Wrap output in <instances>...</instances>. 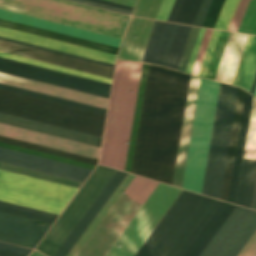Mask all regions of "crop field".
Listing matches in <instances>:
<instances>
[{
    "instance_id": "obj_55",
    "label": "crop field",
    "mask_w": 256,
    "mask_h": 256,
    "mask_svg": "<svg viewBox=\"0 0 256 256\" xmlns=\"http://www.w3.org/2000/svg\"><path fill=\"white\" fill-rule=\"evenodd\" d=\"M204 30L205 29H203V28L200 29V32H199V35H198V38H197V41H196V44H195V47H194V50H193L190 62H189V65H188V68H187V71H186L188 73L191 72V69H192V66H193V63H194V60H195V57H196V54H197V51H198V48H199L202 36H203V33H204Z\"/></svg>"
},
{
    "instance_id": "obj_64",
    "label": "crop field",
    "mask_w": 256,
    "mask_h": 256,
    "mask_svg": "<svg viewBox=\"0 0 256 256\" xmlns=\"http://www.w3.org/2000/svg\"><path fill=\"white\" fill-rule=\"evenodd\" d=\"M255 87H256V76H255V79H254V82H253V85H252V88H251V91H250L251 93H254Z\"/></svg>"
},
{
    "instance_id": "obj_15",
    "label": "crop field",
    "mask_w": 256,
    "mask_h": 256,
    "mask_svg": "<svg viewBox=\"0 0 256 256\" xmlns=\"http://www.w3.org/2000/svg\"><path fill=\"white\" fill-rule=\"evenodd\" d=\"M0 161L84 182L90 169L0 147Z\"/></svg>"
},
{
    "instance_id": "obj_62",
    "label": "crop field",
    "mask_w": 256,
    "mask_h": 256,
    "mask_svg": "<svg viewBox=\"0 0 256 256\" xmlns=\"http://www.w3.org/2000/svg\"><path fill=\"white\" fill-rule=\"evenodd\" d=\"M0 250H4V251H8V252H12V253H16V254H20V255H24L25 254H21V253H17V252H13V251H9V250H5V249H1ZM4 251H0V256H20V255H16V254H12V253H8V252H4Z\"/></svg>"
},
{
    "instance_id": "obj_12",
    "label": "crop field",
    "mask_w": 256,
    "mask_h": 256,
    "mask_svg": "<svg viewBox=\"0 0 256 256\" xmlns=\"http://www.w3.org/2000/svg\"><path fill=\"white\" fill-rule=\"evenodd\" d=\"M256 230V212L236 206L199 256H237Z\"/></svg>"
},
{
    "instance_id": "obj_42",
    "label": "crop field",
    "mask_w": 256,
    "mask_h": 256,
    "mask_svg": "<svg viewBox=\"0 0 256 256\" xmlns=\"http://www.w3.org/2000/svg\"><path fill=\"white\" fill-rule=\"evenodd\" d=\"M239 0H225L213 28L227 30L237 8Z\"/></svg>"
},
{
    "instance_id": "obj_30",
    "label": "crop field",
    "mask_w": 256,
    "mask_h": 256,
    "mask_svg": "<svg viewBox=\"0 0 256 256\" xmlns=\"http://www.w3.org/2000/svg\"><path fill=\"white\" fill-rule=\"evenodd\" d=\"M235 205H232L227 202H223L199 236L196 238L194 243L188 249L184 256H198L231 211L234 209Z\"/></svg>"
},
{
    "instance_id": "obj_40",
    "label": "crop field",
    "mask_w": 256,
    "mask_h": 256,
    "mask_svg": "<svg viewBox=\"0 0 256 256\" xmlns=\"http://www.w3.org/2000/svg\"><path fill=\"white\" fill-rule=\"evenodd\" d=\"M163 0H138L132 15L155 19Z\"/></svg>"
},
{
    "instance_id": "obj_22",
    "label": "crop field",
    "mask_w": 256,
    "mask_h": 256,
    "mask_svg": "<svg viewBox=\"0 0 256 256\" xmlns=\"http://www.w3.org/2000/svg\"><path fill=\"white\" fill-rule=\"evenodd\" d=\"M200 78L191 76L184 112L173 183L181 187Z\"/></svg>"
},
{
    "instance_id": "obj_13",
    "label": "crop field",
    "mask_w": 256,
    "mask_h": 256,
    "mask_svg": "<svg viewBox=\"0 0 256 256\" xmlns=\"http://www.w3.org/2000/svg\"><path fill=\"white\" fill-rule=\"evenodd\" d=\"M190 27L155 21L141 61L176 69Z\"/></svg>"
},
{
    "instance_id": "obj_47",
    "label": "crop field",
    "mask_w": 256,
    "mask_h": 256,
    "mask_svg": "<svg viewBox=\"0 0 256 256\" xmlns=\"http://www.w3.org/2000/svg\"><path fill=\"white\" fill-rule=\"evenodd\" d=\"M219 32L220 31H216V30L212 31V34H211V37H210V40H209V43H208V46L206 49V53H205V56H204V59H203V62H202V65H201V68H200V71L198 74L200 76H203V77L205 76L211 55L213 53V50H214V47H215V44H216V41H217V38L219 35Z\"/></svg>"
},
{
    "instance_id": "obj_44",
    "label": "crop field",
    "mask_w": 256,
    "mask_h": 256,
    "mask_svg": "<svg viewBox=\"0 0 256 256\" xmlns=\"http://www.w3.org/2000/svg\"><path fill=\"white\" fill-rule=\"evenodd\" d=\"M229 32L221 31L205 77L214 78Z\"/></svg>"
},
{
    "instance_id": "obj_19",
    "label": "crop field",
    "mask_w": 256,
    "mask_h": 256,
    "mask_svg": "<svg viewBox=\"0 0 256 256\" xmlns=\"http://www.w3.org/2000/svg\"><path fill=\"white\" fill-rule=\"evenodd\" d=\"M0 135L92 157L98 159L100 148L2 124L0 123Z\"/></svg>"
},
{
    "instance_id": "obj_23",
    "label": "crop field",
    "mask_w": 256,
    "mask_h": 256,
    "mask_svg": "<svg viewBox=\"0 0 256 256\" xmlns=\"http://www.w3.org/2000/svg\"><path fill=\"white\" fill-rule=\"evenodd\" d=\"M125 176L126 173L117 170V172L105 186L102 192L90 206V208L81 218L69 236L57 250V252L54 254V256L67 255V253L70 251V249L73 247V245L76 243V241L79 239V237L82 235V233L85 231V229L88 227L93 218L96 216V214L99 212V210L102 208V206L105 204V202L108 200V198L111 196V194L114 192V190Z\"/></svg>"
},
{
    "instance_id": "obj_10",
    "label": "crop field",
    "mask_w": 256,
    "mask_h": 256,
    "mask_svg": "<svg viewBox=\"0 0 256 256\" xmlns=\"http://www.w3.org/2000/svg\"><path fill=\"white\" fill-rule=\"evenodd\" d=\"M180 192L159 183L105 256H133Z\"/></svg>"
},
{
    "instance_id": "obj_9",
    "label": "crop field",
    "mask_w": 256,
    "mask_h": 256,
    "mask_svg": "<svg viewBox=\"0 0 256 256\" xmlns=\"http://www.w3.org/2000/svg\"><path fill=\"white\" fill-rule=\"evenodd\" d=\"M238 88L220 85L209 156L207 161L203 194L220 197L228 143L230 138Z\"/></svg>"
},
{
    "instance_id": "obj_8",
    "label": "crop field",
    "mask_w": 256,
    "mask_h": 256,
    "mask_svg": "<svg viewBox=\"0 0 256 256\" xmlns=\"http://www.w3.org/2000/svg\"><path fill=\"white\" fill-rule=\"evenodd\" d=\"M76 188L0 170V200L59 214Z\"/></svg>"
},
{
    "instance_id": "obj_29",
    "label": "crop field",
    "mask_w": 256,
    "mask_h": 256,
    "mask_svg": "<svg viewBox=\"0 0 256 256\" xmlns=\"http://www.w3.org/2000/svg\"><path fill=\"white\" fill-rule=\"evenodd\" d=\"M0 26L16 29V30H20V31H25V32H29V33H33V34H37V35L65 41V42H70V43H74V44H78V45H82V46H86V47H90V48H94V49H98V50H102V51H106V52H110V53H115V54L117 53V51L119 49L117 47H112V46H108V45H104V44H100V43H96V42H92V41L56 33V32H52V31H48V30H44V29H40V28L28 26V25L16 23V22L4 20V19H0Z\"/></svg>"
},
{
    "instance_id": "obj_3",
    "label": "crop field",
    "mask_w": 256,
    "mask_h": 256,
    "mask_svg": "<svg viewBox=\"0 0 256 256\" xmlns=\"http://www.w3.org/2000/svg\"><path fill=\"white\" fill-rule=\"evenodd\" d=\"M141 65L123 61L116 63L99 160L101 164L124 168Z\"/></svg>"
},
{
    "instance_id": "obj_57",
    "label": "crop field",
    "mask_w": 256,
    "mask_h": 256,
    "mask_svg": "<svg viewBox=\"0 0 256 256\" xmlns=\"http://www.w3.org/2000/svg\"><path fill=\"white\" fill-rule=\"evenodd\" d=\"M182 2H183V0H175V3L173 5V8H172V10L170 12V15H169L167 20L173 21V22L175 21L176 16H177V14L179 12V9L181 7Z\"/></svg>"
},
{
    "instance_id": "obj_11",
    "label": "crop field",
    "mask_w": 256,
    "mask_h": 256,
    "mask_svg": "<svg viewBox=\"0 0 256 256\" xmlns=\"http://www.w3.org/2000/svg\"><path fill=\"white\" fill-rule=\"evenodd\" d=\"M115 171L97 165L36 249L52 256Z\"/></svg>"
},
{
    "instance_id": "obj_50",
    "label": "crop field",
    "mask_w": 256,
    "mask_h": 256,
    "mask_svg": "<svg viewBox=\"0 0 256 256\" xmlns=\"http://www.w3.org/2000/svg\"><path fill=\"white\" fill-rule=\"evenodd\" d=\"M249 1L250 0H240V3L238 5V8L235 12V15L233 17V20L228 30L234 31V32L237 31Z\"/></svg>"
},
{
    "instance_id": "obj_52",
    "label": "crop field",
    "mask_w": 256,
    "mask_h": 256,
    "mask_svg": "<svg viewBox=\"0 0 256 256\" xmlns=\"http://www.w3.org/2000/svg\"><path fill=\"white\" fill-rule=\"evenodd\" d=\"M238 256H256V231L243 247Z\"/></svg>"
},
{
    "instance_id": "obj_21",
    "label": "crop field",
    "mask_w": 256,
    "mask_h": 256,
    "mask_svg": "<svg viewBox=\"0 0 256 256\" xmlns=\"http://www.w3.org/2000/svg\"><path fill=\"white\" fill-rule=\"evenodd\" d=\"M0 36L114 64L116 55L0 27Z\"/></svg>"
},
{
    "instance_id": "obj_49",
    "label": "crop field",
    "mask_w": 256,
    "mask_h": 256,
    "mask_svg": "<svg viewBox=\"0 0 256 256\" xmlns=\"http://www.w3.org/2000/svg\"><path fill=\"white\" fill-rule=\"evenodd\" d=\"M211 31L212 30H209V29L205 30V33H204V36H203V39H202V42H201V45H200L195 63H194V66H193V69H192V72H191L192 74H196V75L198 74V71H199L203 56H204V52H205V49H206Z\"/></svg>"
},
{
    "instance_id": "obj_53",
    "label": "crop field",
    "mask_w": 256,
    "mask_h": 256,
    "mask_svg": "<svg viewBox=\"0 0 256 256\" xmlns=\"http://www.w3.org/2000/svg\"><path fill=\"white\" fill-rule=\"evenodd\" d=\"M211 2H212V0H203V3L201 5V7H200V10H199V12H198V14L196 16V19H195L193 24L199 25V26L202 25Z\"/></svg>"
},
{
    "instance_id": "obj_36",
    "label": "crop field",
    "mask_w": 256,
    "mask_h": 256,
    "mask_svg": "<svg viewBox=\"0 0 256 256\" xmlns=\"http://www.w3.org/2000/svg\"><path fill=\"white\" fill-rule=\"evenodd\" d=\"M256 73V36L253 37L246 61L244 63L238 86L250 91Z\"/></svg>"
},
{
    "instance_id": "obj_65",
    "label": "crop field",
    "mask_w": 256,
    "mask_h": 256,
    "mask_svg": "<svg viewBox=\"0 0 256 256\" xmlns=\"http://www.w3.org/2000/svg\"><path fill=\"white\" fill-rule=\"evenodd\" d=\"M29 256H44L36 251H33Z\"/></svg>"
},
{
    "instance_id": "obj_41",
    "label": "crop field",
    "mask_w": 256,
    "mask_h": 256,
    "mask_svg": "<svg viewBox=\"0 0 256 256\" xmlns=\"http://www.w3.org/2000/svg\"><path fill=\"white\" fill-rule=\"evenodd\" d=\"M202 0H184L175 22L192 24Z\"/></svg>"
},
{
    "instance_id": "obj_4",
    "label": "crop field",
    "mask_w": 256,
    "mask_h": 256,
    "mask_svg": "<svg viewBox=\"0 0 256 256\" xmlns=\"http://www.w3.org/2000/svg\"><path fill=\"white\" fill-rule=\"evenodd\" d=\"M0 9L122 37L129 16L65 0H0Z\"/></svg>"
},
{
    "instance_id": "obj_26",
    "label": "crop field",
    "mask_w": 256,
    "mask_h": 256,
    "mask_svg": "<svg viewBox=\"0 0 256 256\" xmlns=\"http://www.w3.org/2000/svg\"><path fill=\"white\" fill-rule=\"evenodd\" d=\"M153 22L141 18H130L117 59L141 60Z\"/></svg>"
},
{
    "instance_id": "obj_61",
    "label": "crop field",
    "mask_w": 256,
    "mask_h": 256,
    "mask_svg": "<svg viewBox=\"0 0 256 256\" xmlns=\"http://www.w3.org/2000/svg\"><path fill=\"white\" fill-rule=\"evenodd\" d=\"M107 1H111V2H115V3L133 7L136 0H107Z\"/></svg>"
},
{
    "instance_id": "obj_28",
    "label": "crop field",
    "mask_w": 256,
    "mask_h": 256,
    "mask_svg": "<svg viewBox=\"0 0 256 256\" xmlns=\"http://www.w3.org/2000/svg\"><path fill=\"white\" fill-rule=\"evenodd\" d=\"M245 94H246L245 91L241 89L238 90L230 144L228 149V155H227V161H226V167H225V173H224V179H223V185H222V191H221V197H220V199L226 200V201L228 199V193H229L231 175L233 170L236 146L238 141L240 123L242 118Z\"/></svg>"
},
{
    "instance_id": "obj_25",
    "label": "crop field",
    "mask_w": 256,
    "mask_h": 256,
    "mask_svg": "<svg viewBox=\"0 0 256 256\" xmlns=\"http://www.w3.org/2000/svg\"><path fill=\"white\" fill-rule=\"evenodd\" d=\"M0 18L28 24V25H32V26H36L44 29H49V30H53V31L117 46V47H119L120 41H121V39L119 38L91 32L87 30H82V29H78V28H74V27H70V26H66V25H62V24H58L50 21H45V20H41V19H37V18L25 16V15L13 13V12H8L4 10H0Z\"/></svg>"
},
{
    "instance_id": "obj_63",
    "label": "crop field",
    "mask_w": 256,
    "mask_h": 256,
    "mask_svg": "<svg viewBox=\"0 0 256 256\" xmlns=\"http://www.w3.org/2000/svg\"><path fill=\"white\" fill-rule=\"evenodd\" d=\"M252 208H253V209H256V187H255V193H254V199H253Z\"/></svg>"
},
{
    "instance_id": "obj_39",
    "label": "crop field",
    "mask_w": 256,
    "mask_h": 256,
    "mask_svg": "<svg viewBox=\"0 0 256 256\" xmlns=\"http://www.w3.org/2000/svg\"><path fill=\"white\" fill-rule=\"evenodd\" d=\"M0 88L27 94V95H31V96H35V97H39V98H43V99H47V100H51V101H55V102H59V103H63V104H67V105H71V106H75V107H79V108H83V109H87V110H91V111H95V112H99V113H103V114H105V112H106V110H104V109H100V108H96V107H92V106L56 98V97L28 91V90H23V89L11 87V86L3 85V84H0Z\"/></svg>"
},
{
    "instance_id": "obj_5",
    "label": "crop field",
    "mask_w": 256,
    "mask_h": 256,
    "mask_svg": "<svg viewBox=\"0 0 256 256\" xmlns=\"http://www.w3.org/2000/svg\"><path fill=\"white\" fill-rule=\"evenodd\" d=\"M0 111L95 135L105 115L0 89Z\"/></svg>"
},
{
    "instance_id": "obj_31",
    "label": "crop field",
    "mask_w": 256,
    "mask_h": 256,
    "mask_svg": "<svg viewBox=\"0 0 256 256\" xmlns=\"http://www.w3.org/2000/svg\"><path fill=\"white\" fill-rule=\"evenodd\" d=\"M252 99H253V96H251L249 93H247L246 100H245V106H244V112H243V118H242V123H241L238 147H237V152H236L234 170H233V175H232L229 199H228L229 202H233V203L235 201V195H236L237 183H238V178H239L241 160H242V156H243L247 127H248V122H249V116H250V111H251Z\"/></svg>"
},
{
    "instance_id": "obj_2",
    "label": "crop field",
    "mask_w": 256,
    "mask_h": 256,
    "mask_svg": "<svg viewBox=\"0 0 256 256\" xmlns=\"http://www.w3.org/2000/svg\"><path fill=\"white\" fill-rule=\"evenodd\" d=\"M221 203L182 190L134 256H182Z\"/></svg>"
},
{
    "instance_id": "obj_17",
    "label": "crop field",
    "mask_w": 256,
    "mask_h": 256,
    "mask_svg": "<svg viewBox=\"0 0 256 256\" xmlns=\"http://www.w3.org/2000/svg\"><path fill=\"white\" fill-rule=\"evenodd\" d=\"M243 157L256 159V109L254 99ZM245 158L242 161L235 203L251 208L256 181V160Z\"/></svg>"
},
{
    "instance_id": "obj_6",
    "label": "crop field",
    "mask_w": 256,
    "mask_h": 256,
    "mask_svg": "<svg viewBox=\"0 0 256 256\" xmlns=\"http://www.w3.org/2000/svg\"><path fill=\"white\" fill-rule=\"evenodd\" d=\"M219 82L201 78L186 161L183 188L201 193Z\"/></svg>"
},
{
    "instance_id": "obj_54",
    "label": "crop field",
    "mask_w": 256,
    "mask_h": 256,
    "mask_svg": "<svg viewBox=\"0 0 256 256\" xmlns=\"http://www.w3.org/2000/svg\"><path fill=\"white\" fill-rule=\"evenodd\" d=\"M174 0H164L156 19L166 20Z\"/></svg>"
},
{
    "instance_id": "obj_27",
    "label": "crop field",
    "mask_w": 256,
    "mask_h": 256,
    "mask_svg": "<svg viewBox=\"0 0 256 256\" xmlns=\"http://www.w3.org/2000/svg\"><path fill=\"white\" fill-rule=\"evenodd\" d=\"M248 35L230 32L215 80L232 83Z\"/></svg>"
},
{
    "instance_id": "obj_60",
    "label": "crop field",
    "mask_w": 256,
    "mask_h": 256,
    "mask_svg": "<svg viewBox=\"0 0 256 256\" xmlns=\"http://www.w3.org/2000/svg\"><path fill=\"white\" fill-rule=\"evenodd\" d=\"M90 1H94V2H98V3H102V4H106V5L126 9V10H130V11L132 10L131 7H127V6H123V5H119V4H115V3H111V2H107V1H103V0H90Z\"/></svg>"
},
{
    "instance_id": "obj_38",
    "label": "crop field",
    "mask_w": 256,
    "mask_h": 256,
    "mask_svg": "<svg viewBox=\"0 0 256 256\" xmlns=\"http://www.w3.org/2000/svg\"><path fill=\"white\" fill-rule=\"evenodd\" d=\"M0 169L8 170V171H12V172H16V173H20V174H24V175H28V176H32V177H36V178H40V179H44V180H48V181H52V182H56V183L76 187V188H79L80 185L82 184L81 182H77V181H73V180H69V179H65V178H61V177H57V176H53V175H49V174L29 170V169H25V168L13 166V165L1 163V162H0Z\"/></svg>"
},
{
    "instance_id": "obj_34",
    "label": "crop field",
    "mask_w": 256,
    "mask_h": 256,
    "mask_svg": "<svg viewBox=\"0 0 256 256\" xmlns=\"http://www.w3.org/2000/svg\"><path fill=\"white\" fill-rule=\"evenodd\" d=\"M0 211L35 219L42 222H47L50 224H52L57 217L56 214H52V213L24 207V206H20V205L8 203V202H3V201H0Z\"/></svg>"
},
{
    "instance_id": "obj_59",
    "label": "crop field",
    "mask_w": 256,
    "mask_h": 256,
    "mask_svg": "<svg viewBox=\"0 0 256 256\" xmlns=\"http://www.w3.org/2000/svg\"><path fill=\"white\" fill-rule=\"evenodd\" d=\"M0 247L5 248V249H9V250H13V251H17V252H21V253H25V254H28L29 252L32 251V250H29V249H25V248L13 246V245L1 243V242H0Z\"/></svg>"
},
{
    "instance_id": "obj_51",
    "label": "crop field",
    "mask_w": 256,
    "mask_h": 256,
    "mask_svg": "<svg viewBox=\"0 0 256 256\" xmlns=\"http://www.w3.org/2000/svg\"><path fill=\"white\" fill-rule=\"evenodd\" d=\"M0 39L15 42V43H19V44H23V45H27V46H31V47H35V48H39V49H43V50H47V51H51V52H55V53H59V54H63V55H67V56H71V57H75V58H79V59H83V60H87V61H91V62H95V63H99V64H103V65H107V66H111V67L114 66L112 64H108V63H104V62H100V61H96V60H92V59H88V58H84V57H80V56H76V55H72V54H68V53H64V52H60V51H56V50H52V49H48V48H43V47H39V46H35V45L23 43V42L11 40V39H7V38H3V37H0Z\"/></svg>"
},
{
    "instance_id": "obj_33",
    "label": "crop field",
    "mask_w": 256,
    "mask_h": 256,
    "mask_svg": "<svg viewBox=\"0 0 256 256\" xmlns=\"http://www.w3.org/2000/svg\"><path fill=\"white\" fill-rule=\"evenodd\" d=\"M148 67H149L148 64L143 63L140 82H139V88H138V94H137V100H136V105H135L134 117H133V122H132L128 152H127L125 168H124L125 171H129V172L131 170V164H132L135 141H136V136H137V130H138L139 118H140L142 101H143V96H144L145 84H146V79H147Z\"/></svg>"
},
{
    "instance_id": "obj_18",
    "label": "crop field",
    "mask_w": 256,
    "mask_h": 256,
    "mask_svg": "<svg viewBox=\"0 0 256 256\" xmlns=\"http://www.w3.org/2000/svg\"><path fill=\"white\" fill-rule=\"evenodd\" d=\"M35 223L34 220L0 212V240L34 248L50 226Z\"/></svg>"
},
{
    "instance_id": "obj_24",
    "label": "crop field",
    "mask_w": 256,
    "mask_h": 256,
    "mask_svg": "<svg viewBox=\"0 0 256 256\" xmlns=\"http://www.w3.org/2000/svg\"><path fill=\"white\" fill-rule=\"evenodd\" d=\"M0 122L98 146L101 137L0 112Z\"/></svg>"
},
{
    "instance_id": "obj_43",
    "label": "crop field",
    "mask_w": 256,
    "mask_h": 256,
    "mask_svg": "<svg viewBox=\"0 0 256 256\" xmlns=\"http://www.w3.org/2000/svg\"><path fill=\"white\" fill-rule=\"evenodd\" d=\"M237 32L256 35V0H251Z\"/></svg>"
},
{
    "instance_id": "obj_32",
    "label": "crop field",
    "mask_w": 256,
    "mask_h": 256,
    "mask_svg": "<svg viewBox=\"0 0 256 256\" xmlns=\"http://www.w3.org/2000/svg\"><path fill=\"white\" fill-rule=\"evenodd\" d=\"M129 174H127V176L124 178V180L118 186V188L115 190V192L112 194V196L109 198V200L103 206V208L100 210V212L97 214L95 219L92 221V223L89 225V227L86 229V231L83 233V235L80 237V239L77 241V243L74 245V247L71 249V251L68 253L67 256H75L77 254V252L80 250V248L86 242V240L89 238V236L95 230V228L98 226V224L101 222V220L107 214V212L110 210V208L113 206V204L119 198V196L122 194V192L128 186V184L131 182V180L134 178L133 175H129Z\"/></svg>"
},
{
    "instance_id": "obj_7",
    "label": "crop field",
    "mask_w": 256,
    "mask_h": 256,
    "mask_svg": "<svg viewBox=\"0 0 256 256\" xmlns=\"http://www.w3.org/2000/svg\"><path fill=\"white\" fill-rule=\"evenodd\" d=\"M157 184L135 176L76 256H104Z\"/></svg>"
},
{
    "instance_id": "obj_37",
    "label": "crop field",
    "mask_w": 256,
    "mask_h": 256,
    "mask_svg": "<svg viewBox=\"0 0 256 256\" xmlns=\"http://www.w3.org/2000/svg\"><path fill=\"white\" fill-rule=\"evenodd\" d=\"M0 56L25 62V63H29V64H33V65H37V66H41V67H45V68H49V69H53V70H57V71H61V72H65V73H69V74H73V75H77V76H81V77H85V78H89V79H93V80H97V81H101V82H105V83H109V84L111 81V79L109 78H105V77H101V76H97V75H93V74H89V73H85V72H81V71H77L69 68H64V67H60V66L32 60V59L20 57V56H15V55L3 53V52H0Z\"/></svg>"
},
{
    "instance_id": "obj_56",
    "label": "crop field",
    "mask_w": 256,
    "mask_h": 256,
    "mask_svg": "<svg viewBox=\"0 0 256 256\" xmlns=\"http://www.w3.org/2000/svg\"><path fill=\"white\" fill-rule=\"evenodd\" d=\"M252 37H253V36H251V35L248 36L247 43H246L245 49H244L243 54H242V57H241V61H240V65H239V68H238L236 77H235V79H234V81H233V83H232V84H234V85L237 84V81H238V78H239V75H240V72H241V69H242L244 60H245V58H246V55H247V52H248V49H249V46H250Z\"/></svg>"
},
{
    "instance_id": "obj_16",
    "label": "crop field",
    "mask_w": 256,
    "mask_h": 256,
    "mask_svg": "<svg viewBox=\"0 0 256 256\" xmlns=\"http://www.w3.org/2000/svg\"><path fill=\"white\" fill-rule=\"evenodd\" d=\"M0 51L111 78L113 68L0 40Z\"/></svg>"
},
{
    "instance_id": "obj_45",
    "label": "crop field",
    "mask_w": 256,
    "mask_h": 256,
    "mask_svg": "<svg viewBox=\"0 0 256 256\" xmlns=\"http://www.w3.org/2000/svg\"><path fill=\"white\" fill-rule=\"evenodd\" d=\"M199 29L200 28H198V27H194V26L191 27L185 48L183 50V53H182V56H181V59H180V62H179L178 68H177L178 70H181L184 72L186 71V68H187V65H188L198 32H199Z\"/></svg>"
},
{
    "instance_id": "obj_14",
    "label": "crop field",
    "mask_w": 256,
    "mask_h": 256,
    "mask_svg": "<svg viewBox=\"0 0 256 256\" xmlns=\"http://www.w3.org/2000/svg\"><path fill=\"white\" fill-rule=\"evenodd\" d=\"M0 71L106 97L109 84L5 59L0 57Z\"/></svg>"
},
{
    "instance_id": "obj_20",
    "label": "crop field",
    "mask_w": 256,
    "mask_h": 256,
    "mask_svg": "<svg viewBox=\"0 0 256 256\" xmlns=\"http://www.w3.org/2000/svg\"><path fill=\"white\" fill-rule=\"evenodd\" d=\"M0 83L28 89L100 108L106 109L108 99L2 73L0 72Z\"/></svg>"
},
{
    "instance_id": "obj_48",
    "label": "crop field",
    "mask_w": 256,
    "mask_h": 256,
    "mask_svg": "<svg viewBox=\"0 0 256 256\" xmlns=\"http://www.w3.org/2000/svg\"><path fill=\"white\" fill-rule=\"evenodd\" d=\"M224 0H213L202 26L212 28Z\"/></svg>"
},
{
    "instance_id": "obj_66",
    "label": "crop field",
    "mask_w": 256,
    "mask_h": 256,
    "mask_svg": "<svg viewBox=\"0 0 256 256\" xmlns=\"http://www.w3.org/2000/svg\"><path fill=\"white\" fill-rule=\"evenodd\" d=\"M254 95H256V90H255V93H254Z\"/></svg>"
},
{
    "instance_id": "obj_1",
    "label": "crop field",
    "mask_w": 256,
    "mask_h": 256,
    "mask_svg": "<svg viewBox=\"0 0 256 256\" xmlns=\"http://www.w3.org/2000/svg\"><path fill=\"white\" fill-rule=\"evenodd\" d=\"M189 77L150 65L132 173L171 185Z\"/></svg>"
},
{
    "instance_id": "obj_58",
    "label": "crop field",
    "mask_w": 256,
    "mask_h": 256,
    "mask_svg": "<svg viewBox=\"0 0 256 256\" xmlns=\"http://www.w3.org/2000/svg\"><path fill=\"white\" fill-rule=\"evenodd\" d=\"M72 1L89 4V5H93V6H97V7H102V8H106V9H110V10H114V11H119V12H123V13H127V14L131 13L129 11H125V10H121V9H117V8H113V7H109V6H105V5H101V4H97V3H93V2H89V1H85V0H72Z\"/></svg>"
},
{
    "instance_id": "obj_35",
    "label": "crop field",
    "mask_w": 256,
    "mask_h": 256,
    "mask_svg": "<svg viewBox=\"0 0 256 256\" xmlns=\"http://www.w3.org/2000/svg\"><path fill=\"white\" fill-rule=\"evenodd\" d=\"M0 142L16 145V146H20V147H25V148L61 156V157H65V158H69V159H73V160H77V161H81V162H85V163H89V164H93V165H96L97 161H98L96 159H92V158H88V157H84V156H80V155H76V154H72V153H68V152H64V151H60V150H56V149H52V148H48V147H44V146H40V145H36V144H32V143H28V142H24V141L12 139V138L4 137V136H0Z\"/></svg>"
},
{
    "instance_id": "obj_46",
    "label": "crop field",
    "mask_w": 256,
    "mask_h": 256,
    "mask_svg": "<svg viewBox=\"0 0 256 256\" xmlns=\"http://www.w3.org/2000/svg\"><path fill=\"white\" fill-rule=\"evenodd\" d=\"M0 146L10 148V149H14V150H18V151H22V152H26V153H30V154H34V155H38V156H42V157H46V158H50V159H54V160H58V161H62V162H66V163H70V164H74V165H78V166H82V167H86V168H90V169H93V167H94L93 165H89V164H85V163H81V162H77V161H73V160H69V159H65V158H61V157H57V156H53V155H49V154H45V153H41V152L29 150V149H25V148H20V147H16V146L4 144V143H0Z\"/></svg>"
}]
</instances>
